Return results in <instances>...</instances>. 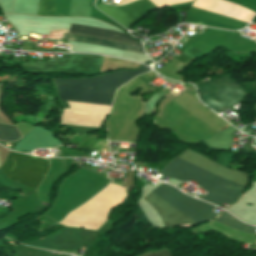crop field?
I'll return each instance as SVG.
<instances>
[{"label": "crop field", "instance_id": "crop-field-4", "mask_svg": "<svg viewBox=\"0 0 256 256\" xmlns=\"http://www.w3.org/2000/svg\"><path fill=\"white\" fill-rule=\"evenodd\" d=\"M48 169V161L37 157L11 152L2 166L10 178L36 189Z\"/></svg>", "mask_w": 256, "mask_h": 256}, {"label": "crop field", "instance_id": "crop-field-3", "mask_svg": "<svg viewBox=\"0 0 256 256\" xmlns=\"http://www.w3.org/2000/svg\"><path fill=\"white\" fill-rule=\"evenodd\" d=\"M200 99L217 113L238 104L247 95L234 79L225 75L196 84Z\"/></svg>", "mask_w": 256, "mask_h": 256}, {"label": "crop field", "instance_id": "crop-field-9", "mask_svg": "<svg viewBox=\"0 0 256 256\" xmlns=\"http://www.w3.org/2000/svg\"><path fill=\"white\" fill-rule=\"evenodd\" d=\"M66 39L70 40L71 50L74 52H92L105 55H114L123 58L126 51L116 50V42L74 36L65 34Z\"/></svg>", "mask_w": 256, "mask_h": 256}, {"label": "crop field", "instance_id": "crop-field-10", "mask_svg": "<svg viewBox=\"0 0 256 256\" xmlns=\"http://www.w3.org/2000/svg\"><path fill=\"white\" fill-rule=\"evenodd\" d=\"M62 144L51 132L35 126L15 147L19 151H31L37 147H54Z\"/></svg>", "mask_w": 256, "mask_h": 256}, {"label": "crop field", "instance_id": "crop-field-14", "mask_svg": "<svg viewBox=\"0 0 256 256\" xmlns=\"http://www.w3.org/2000/svg\"><path fill=\"white\" fill-rule=\"evenodd\" d=\"M0 128L9 141L18 140L21 137L19 132L15 128V126L0 124ZM1 130H0V140L8 141L7 138L4 136V134L1 132Z\"/></svg>", "mask_w": 256, "mask_h": 256}, {"label": "crop field", "instance_id": "crop-field-2", "mask_svg": "<svg viewBox=\"0 0 256 256\" xmlns=\"http://www.w3.org/2000/svg\"><path fill=\"white\" fill-rule=\"evenodd\" d=\"M125 189L110 183L101 193L75 211L107 218L111 209L126 198ZM87 214L71 212L60 224L97 230L106 220Z\"/></svg>", "mask_w": 256, "mask_h": 256}, {"label": "crop field", "instance_id": "crop-field-6", "mask_svg": "<svg viewBox=\"0 0 256 256\" xmlns=\"http://www.w3.org/2000/svg\"><path fill=\"white\" fill-rule=\"evenodd\" d=\"M60 100L111 106L116 89L55 83Z\"/></svg>", "mask_w": 256, "mask_h": 256}, {"label": "crop field", "instance_id": "crop-field-12", "mask_svg": "<svg viewBox=\"0 0 256 256\" xmlns=\"http://www.w3.org/2000/svg\"><path fill=\"white\" fill-rule=\"evenodd\" d=\"M55 0H41L37 15H52ZM70 0H56L53 15L68 16Z\"/></svg>", "mask_w": 256, "mask_h": 256}, {"label": "crop field", "instance_id": "crop-field-11", "mask_svg": "<svg viewBox=\"0 0 256 256\" xmlns=\"http://www.w3.org/2000/svg\"><path fill=\"white\" fill-rule=\"evenodd\" d=\"M70 32L82 33V34L93 35V36L125 41V42L138 43L136 40L126 36L124 33L102 30L94 27L73 25Z\"/></svg>", "mask_w": 256, "mask_h": 256}, {"label": "crop field", "instance_id": "crop-field-1", "mask_svg": "<svg viewBox=\"0 0 256 256\" xmlns=\"http://www.w3.org/2000/svg\"><path fill=\"white\" fill-rule=\"evenodd\" d=\"M159 174L170 176L184 182L192 179L210 193L203 200L219 206L224 202L233 203L244 188V186L221 179L177 158Z\"/></svg>", "mask_w": 256, "mask_h": 256}, {"label": "crop field", "instance_id": "crop-field-8", "mask_svg": "<svg viewBox=\"0 0 256 256\" xmlns=\"http://www.w3.org/2000/svg\"><path fill=\"white\" fill-rule=\"evenodd\" d=\"M150 70L151 69L149 67L143 66L135 71H114L102 76L84 79H53L52 82L118 88L133 79L135 76L149 72Z\"/></svg>", "mask_w": 256, "mask_h": 256}, {"label": "crop field", "instance_id": "crop-field-5", "mask_svg": "<svg viewBox=\"0 0 256 256\" xmlns=\"http://www.w3.org/2000/svg\"><path fill=\"white\" fill-rule=\"evenodd\" d=\"M153 191L189 215L198 223H205L215 217L217 214L212 212L214 206L201 200L191 198L177 191L176 189L162 183Z\"/></svg>", "mask_w": 256, "mask_h": 256}, {"label": "crop field", "instance_id": "crop-field-7", "mask_svg": "<svg viewBox=\"0 0 256 256\" xmlns=\"http://www.w3.org/2000/svg\"><path fill=\"white\" fill-rule=\"evenodd\" d=\"M96 7L127 28L150 11L156 9L147 0H136L124 6L98 4Z\"/></svg>", "mask_w": 256, "mask_h": 256}, {"label": "crop field", "instance_id": "crop-field-15", "mask_svg": "<svg viewBox=\"0 0 256 256\" xmlns=\"http://www.w3.org/2000/svg\"><path fill=\"white\" fill-rule=\"evenodd\" d=\"M255 20H256V16H255Z\"/></svg>", "mask_w": 256, "mask_h": 256}, {"label": "crop field", "instance_id": "crop-field-13", "mask_svg": "<svg viewBox=\"0 0 256 256\" xmlns=\"http://www.w3.org/2000/svg\"><path fill=\"white\" fill-rule=\"evenodd\" d=\"M215 221L223 222V223L229 225L230 227H232L238 231H241V232L256 233L254 227H251V226L241 223L240 221H238L235 217H233L226 211Z\"/></svg>", "mask_w": 256, "mask_h": 256}]
</instances>
